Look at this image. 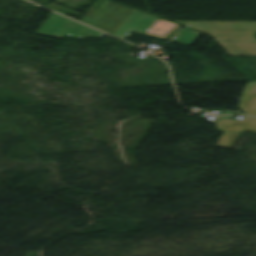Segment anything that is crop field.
Wrapping results in <instances>:
<instances>
[{
  "label": "crop field",
  "mask_w": 256,
  "mask_h": 256,
  "mask_svg": "<svg viewBox=\"0 0 256 256\" xmlns=\"http://www.w3.org/2000/svg\"><path fill=\"white\" fill-rule=\"evenodd\" d=\"M50 17V16H49ZM41 33L43 36L63 38L65 35L75 36L74 39L82 38H102L105 34L84 26L80 23L62 17L53 13L51 17L44 23V25L36 33Z\"/></svg>",
  "instance_id": "1"
},
{
  "label": "crop field",
  "mask_w": 256,
  "mask_h": 256,
  "mask_svg": "<svg viewBox=\"0 0 256 256\" xmlns=\"http://www.w3.org/2000/svg\"><path fill=\"white\" fill-rule=\"evenodd\" d=\"M216 127L225 131L218 146L232 148L240 133L245 130L256 132V118L245 117L237 121L218 119Z\"/></svg>",
  "instance_id": "2"
},
{
  "label": "crop field",
  "mask_w": 256,
  "mask_h": 256,
  "mask_svg": "<svg viewBox=\"0 0 256 256\" xmlns=\"http://www.w3.org/2000/svg\"><path fill=\"white\" fill-rule=\"evenodd\" d=\"M181 26L147 14L134 32L171 40Z\"/></svg>",
  "instance_id": "3"
},
{
  "label": "crop field",
  "mask_w": 256,
  "mask_h": 256,
  "mask_svg": "<svg viewBox=\"0 0 256 256\" xmlns=\"http://www.w3.org/2000/svg\"><path fill=\"white\" fill-rule=\"evenodd\" d=\"M186 27L256 28V22L173 21Z\"/></svg>",
  "instance_id": "4"
},
{
  "label": "crop field",
  "mask_w": 256,
  "mask_h": 256,
  "mask_svg": "<svg viewBox=\"0 0 256 256\" xmlns=\"http://www.w3.org/2000/svg\"><path fill=\"white\" fill-rule=\"evenodd\" d=\"M241 109L249 115L256 116V82L248 83L241 100Z\"/></svg>",
  "instance_id": "5"
}]
</instances>
